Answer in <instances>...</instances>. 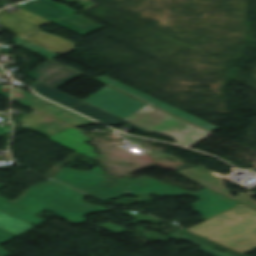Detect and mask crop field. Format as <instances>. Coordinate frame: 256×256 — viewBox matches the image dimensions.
<instances>
[{
	"instance_id": "d9b57169",
	"label": "crop field",
	"mask_w": 256,
	"mask_h": 256,
	"mask_svg": "<svg viewBox=\"0 0 256 256\" xmlns=\"http://www.w3.org/2000/svg\"><path fill=\"white\" fill-rule=\"evenodd\" d=\"M72 109H74L76 111H79V112H81L83 114H86L88 116H91V117H93V118H95L97 120H100V121L104 122V123L113 125V126H115V125H117V124H119L121 122H124V123L134 127L136 130L141 131L143 133H152V132H149V131H147L145 129H142V128H140V127H138V126H136V125L126 121V120H123V119H121V118H119L117 116H114V115H112V114H110V113H108L106 111H103V110H101V109H99L97 107H94V106H92V105H90V104H88L86 102H84V103H82V104H80V105H78V106H76V107H74Z\"/></svg>"
},
{
	"instance_id": "dafd665d",
	"label": "crop field",
	"mask_w": 256,
	"mask_h": 256,
	"mask_svg": "<svg viewBox=\"0 0 256 256\" xmlns=\"http://www.w3.org/2000/svg\"><path fill=\"white\" fill-rule=\"evenodd\" d=\"M0 118L6 119L9 121V117L7 115L0 114Z\"/></svg>"
},
{
	"instance_id": "5142ce71",
	"label": "crop field",
	"mask_w": 256,
	"mask_h": 256,
	"mask_svg": "<svg viewBox=\"0 0 256 256\" xmlns=\"http://www.w3.org/2000/svg\"><path fill=\"white\" fill-rule=\"evenodd\" d=\"M130 211H132V210H125V211H123L121 214H124V215H127V216H129V217H132V218L137 219V220H135V222L133 223V224H135V225H136L137 223L141 222V221L149 222V223H154V222H156V221H159L158 219H155V218H153V217H151V216H149V215H142V214H140V213H138L137 215L131 214V213H129ZM137 226H138V225H137ZM98 227L108 229V230H110V231H112V232H114V233H116V234H118V235H120V234H122V233L128 231V232H131V233H134V234L144 235V236H146V237H148V238H151V239H154V240H157V241L162 240V241L168 242V241L171 240L170 238L165 237V236H163V235H160V234H158V233H156V232L150 233V232L144 230L145 228L140 227V226L137 228V229H138L137 232L127 230V229H125V228H123V227H120V226H117V225H115V224H113V223H111V222H108V223L103 224V225L98 226ZM108 230H107V231H108Z\"/></svg>"
},
{
	"instance_id": "d1516ede",
	"label": "crop field",
	"mask_w": 256,
	"mask_h": 256,
	"mask_svg": "<svg viewBox=\"0 0 256 256\" xmlns=\"http://www.w3.org/2000/svg\"><path fill=\"white\" fill-rule=\"evenodd\" d=\"M63 68L64 67L48 61L29 72L27 75L57 89L80 75L68 69L54 75Z\"/></svg>"
},
{
	"instance_id": "214f88e0",
	"label": "crop field",
	"mask_w": 256,
	"mask_h": 256,
	"mask_svg": "<svg viewBox=\"0 0 256 256\" xmlns=\"http://www.w3.org/2000/svg\"><path fill=\"white\" fill-rule=\"evenodd\" d=\"M17 235L0 227V243L5 244ZM10 252L0 248V256H9Z\"/></svg>"
},
{
	"instance_id": "d8731c3e",
	"label": "crop field",
	"mask_w": 256,
	"mask_h": 256,
	"mask_svg": "<svg viewBox=\"0 0 256 256\" xmlns=\"http://www.w3.org/2000/svg\"><path fill=\"white\" fill-rule=\"evenodd\" d=\"M23 96L24 98H20ZM14 100H20L21 103H24L28 106H31L35 109H38L52 117H55L59 120H62L70 125H86L93 124L94 122L87 120L81 116H78L66 109L49 103L33 94L26 93L19 88H14ZM64 115V116H61Z\"/></svg>"
},
{
	"instance_id": "92a150f3",
	"label": "crop field",
	"mask_w": 256,
	"mask_h": 256,
	"mask_svg": "<svg viewBox=\"0 0 256 256\" xmlns=\"http://www.w3.org/2000/svg\"><path fill=\"white\" fill-rule=\"evenodd\" d=\"M9 129L10 127H8L7 129L0 127V133L5 134Z\"/></svg>"
},
{
	"instance_id": "22f410ed",
	"label": "crop field",
	"mask_w": 256,
	"mask_h": 256,
	"mask_svg": "<svg viewBox=\"0 0 256 256\" xmlns=\"http://www.w3.org/2000/svg\"><path fill=\"white\" fill-rule=\"evenodd\" d=\"M168 237L173 238L175 240L185 239L192 243L198 244V245L202 246L198 250L205 252L212 256H248L246 254H243L241 252L233 250L229 247H226L224 245H221L219 243H216L214 241H211L209 239H206L204 237H201L197 234H194V233L189 232L184 229H182ZM214 246L221 248V250H223L224 252L223 253L218 252L217 250L213 249Z\"/></svg>"
},
{
	"instance_id": "bc2a9ffb",
	"label": "crop field",
	"mask_w": 256,
	"mask_h": 256,
	"mask_svg": "<svg viewBox=\"0 0 256 256\" xmlns=\"http://www.w3.org/2000/svg\"><path fill=\"white\" fill-rule=\"evenodd\" d=\"M11 41L15 42L18 45H22V46H24V47H26V48L34 51V52H37V53L41 54V55H44V56H46V57H48L50 59H52V58H54L56 56V54L51 53V52H49V51H47V50H45L43 48H40L38 46H35V45H33V44H31V43H29V42H27V41H25V40H23L21 38H18V37L13 39V40H11Z\"/></svg>"
},
{
	"instance_id": "5a996713",
	"label": "crop field",
	"mask_w": 256,
	"mask_h": 256,
	"mask_svg": "<svg viewBox=\"0 0 256 256\" xmlns=\"http://www.w3.org/2000/svg\"><path fill=\"white\" fill-rule=\"evenodd\" d=\"M98 80H100V81H102V82H104V83H106L110 86H113V87H115V88H117V89H119L123 92H126V93H128V94H130V95H132V96H134L138 99H141V100H143V101H145V102H147L151 105H154V106H156L160 109H163V110H165V111H167L171 114H174V115H176L180 118H183V119H185L189 122H192V123H194L198 126H201L205 129H208L212 132H214V131H216L220 128V127L217 128V127H215V126H213L209 123H206V122H204V121H202V120H200V119H198L194 116H191V115H189V114H187V113H185L181 110H178V109H176V108H174V107H172V106H170L166 103H163V102H161V101H159V100H157L153 97H150L148 95H144V94H142V93H140V92H138L134 89H131V88H129V87H127V86H125V85L107 77V76H103V77L99 78Z\"/></svg>"
},
{
	"instance_id": "8a807250",
	"label": "crop field",
	"mask_w": 256,
	"mask_h": 256,
	"mask_svg": "<svg viewBox=\"0 0 256 256\" xmlns=\"http://www.w3.org/2000/svg\"><path fill=\"white\" fill-rule=\"evenodd\" d=\"M71 190L73 189L52 180L46 184L29 188L21 194L20 198L13 201L0 197V210L30 224L39 225L45 221L35 215L45 209L79 224L87 220L81 217L83 214L108 209L90 205L77 198L69 200L61 196Z\"/></svg>"
},
{
	"instance_id": "00972430",
	"label": "crop field",
	"mask_w": 256,
	"mask_h": 256,
	"mask_svg": "<svg viewBox=\"0 0 256 256\" xmlns=\"http://www.w3.org/2000/svg\"><path fill=\"white\" fill-rule=\"evenodd\" d=\"M0 71H3L2 69H0Z\"/></svg>"
},
{
	"instance_id": "cbeb9de0",
	"label": "crop field",
	"mask_w": 256,
	"mask_h": 256,
	"mask_svg": "<svg viewBox=\"0 0 256 256\" xmlns=\"http://www.w3.org/2000/svg\"><path fill=\"white\" fill-rule=\"evenodd\" d=\"M59 134L65 136L67 138H70V139H72V140H74V141H76V142H78L82 145H80L78 143H75L73 141H70V140H68V139H66V138H64V137H62L58 134L54 135V136H51L48 139H50L52 141H55V142L65 146L69 149H72V150L77 151L79 153H82L86 156H89L93 159H95L96 156L98 155V154L92 152L93 150H95L93 147L83 143V142L89 140L90 138L84 136V134L81 133L80 131H78L74 128H71V129L63 131Z\"/></svg>"
},
{
	"instance_id": "ac0d7876",
	"label": "crop field",
	"mask_w": 256,
	"mask_h": 256,
	"mask_svg": "<svg viewBox=\"0 0 256 256\" xmlns=\"http://www.w3.org/2000/svg\"><path fill=\"white\" fill-rule=\"evenodd\" d=\"M105 176L115 179L112 182L103 178ZM53 179L72 186L104 201L131 193L133 195L169 196L189 193L173 185L162 183L152 184L144 179L130 180L126 177L117 179L107 175L101 168L96 167L91 171H78L63 168Z\"/></svg>"
},
{
	"instance_id": "dd49c442",
	"label": "crop field",
	"mask_w": 256,
	"mask_h": 256,
	"mask_svg": "<svg viewBox=\"0 0 256 256\" xmlns=\"http://www.w3.org/2000/svg\"><path fill=\"white\" fill-rule=\"evenodd\" d=\"M0 18L1 22L10 29L14 35L24 38L40 29L30 25L27 22L19 20L9 14H6L0 11ZM25 39V38H24ZM26 40L43 47L51 52L58 53V54H68L74 50V47L70 46L71 42L61 39L56 36L49 35L42 31L32 35L31 37L27 38Z\"/></svg>"
},
{
	"instance_id": "3316defc",
	"label": "crop field",
	"mask_w": 256,
	"mask_h": 256,
	"mask_svg": "<svg viewBox=\"0 0 256 256\" xmlns=\"http://www.w3.org/2000/svg\"><path fill=\"white\" fill-rule=\"evenodd\" d=\"M199 197L201 200L195 204V210L204 215L202 219H209L239 203L222 196L208 188H205L199 192L189 193Z\"/></svg>"
},
{
	"instance_id": "28ad6ade",
	"label": "crop field",
	"mask_w": 256,
	"mask_h": 256,
	"mask_svg": "<svg viewBox=\"0 0 256 256\" xmlns=\"http://www.w3.org/2000/svg\"><path fill=\"white\" fill-rule=\"evenodd\" d=\"M201 172H204V171H202L198 168H189V169L180 171V173L184 177L191 179L193 181H196L205 187H208L222 195H225L239 203H242V204L256 210V202L250 199L254 195L247 193L242 196L233 198L229 195L227 189H225L222 179H220L214 175H211L207 172H204V174H201Z\"/></svg>"
},
{
	"instance_id": "f4fd0767",
	"label": "crop field",
	"mask_w": 256,
	"mask_h": 256,
	"mask_svg": "<svg viewBox=\"0 0 256 256\" xmlns=\"http://www.w3.org/2000/svg\"><path fill=\"white\" fill-rule=\"evenodd\" d=\"M17 6L82 36L103 28L74 15L77 12L71 8L51 0H31ZM66 16L70 17L64 18ZM74 22L81 25L74 24Z\"/></svg>"
},
{
	"instance_id": "34b2d1b8",
	"label": "crop field",
	"mask_w": 256,
	"mask_h": 256,
	"mask_svg": "<svg viewBox=\"0 0 256 256\" xmlns=\"http://www.w3.org/2000/svg\"><path fill=\"white\" fill-rule=\"evenodd\" d=\"M187 230L243 253L256 249V211L242 204Z\"/></svg>"
},
{
	"instance_id": "733c2abd",
	"label": "crop field",
	"mask_w": 256,
	"mask_h": 256,
	"mask_svg": "<svg viewBox=\"0 0 256 256\" xmlns=\"http://www.w3.org/2000/svg\"><path fill=\"white\" fill-rule=\"evenodd\" d=\"M32 88L36 92H38L40 95H42L44 97H47V98H50V99H52V100H54V101H56V102H58L60 104H63L65 106H67V107H70V106H72L74 104H77V103L81 102V101H79L77 99H74V98H72V97H70L68 95H65V94H63L61 92H58V91H56L54 89H51V88H49L47 86H44V85L40 84V83L32 86Z\"/></svg>"
},
{
	"instance_id": "4a817a6b",
	"label": "crop field",
	"mask_w": 256,
	"mask_h": 256,
	"mask_svg": "<svg viewBox=\"0 0 256 256\" xmlns=\"http://www.w3.org/2000/svg\"><path fill=\"white\" fill-rule=\"evenodd\" d=\"M0 226L18 235L35 227L14 216H8L2 212H0Z\"/></svg>"
},
{
	"instance_id": "a9b5d70f",
	"label": "crop field",
	"mask_w": 256,
	"mask_h": 256,
	"mask_svg": "<svg viewBox=\"0 0 256 256\" xmlns=\"http://www.w3.org/2000/svg\"><path fill=\"white\" fill-rule=\"evenodd\" d=\"M0 135H2V134H0Z\"/></svg>"
},
{
	"instance_id": "412701ff",
	"label": "crop field",
	"mask_w": 256,
	"mask_h": 256,
	"mask_svg": "<svg viewBox=\"0 0 256 256\" xmlns=\"http://www.w3.org/2000/svg\"><path fill=\"white\" fill-rule=\"evenodd\" d=\"M127 119L151 131L168 135L187 147L209 134L148 105Z\"/></svg>"
},
{
	"instance_id": "e52e79f7",
	"label": "crop field",
	"mask_w": 256,
	"mask_h": 256,
	"mask_svg": "<svg viewBox=\"0 0 256 256\" xmlns=\"http://www.w3.org/2000/svg\"><path fill=\"white\" fill-rule=\"evenodd\" d=\"M83 101L95 105L123 119L146 105L140 101L132 100L124 94L107 86L103 87Z\"/></svg>"
}]
</instances>
